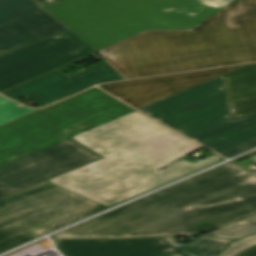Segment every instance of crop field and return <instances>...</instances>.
Instances as JSON below:
<instances>
[{"instance_id": "obj_1", "label": "crop field", "mask_w": 256, "mask_h": 256, "mask_svg": "<svg viewBox=\"0 0 256 256\" xmlns=\"http://www.w3.org/2000/svg\"><path fill=\"white\" fill-rule=\"evenodd\" d=\"M72 139L104 158L47 181L106 206L223 159L214 155L193 163L183 158L161 173L157 169L201 146L136 111Z\"/></svg>"}, {"instance_id": "obj_2", "label": "crop field", "mask_w": 256, "mask_h": 256, "mask_svg": "<svg viewBox=\"0 0 256 256\" xmlns=\"http://www.w3.org/2000/svg\"><path fill=\"white\" fill-rule=\"evenodd\" d=\"M254 215L256 176L227 163L51 238L193 235Z\"/></svg>"}, {"instance_id": "obj_3", "label": "crop field", "mask_w": 256, "mask_h": 256, "mask_svg": "<svg viewBox=\"0 0 256 256\" xmlns=\"http://www.w3.org/2000/svg\"><path fill=\"white\" fill-rule=\"evenodd\" d=\"M97 53L127 79L256 62V0L232 3L189 31H145Z\"/></svg>"}, {"instance_id": "obj_4", "label": "crop field", "mask_w": 256, "mask_h": 256, "mask_svg": "<svg viewBox=\"0 0 256 256\" xmlns=\"http://www.w3.org/2000/svg\"><path fill=\"white\" fill-rule=\"evenodd\" d=\"M45 10L97 51L145 29H189L218 9L200 0H65Z\"/></svg>"}, {"instance_id": "obj_5", "label": "crop field", "mask_w": 256, "mask_h": 256, "mask_svg": "<svg viewBox=\"0 0 256 256\" xmlns=\"http://www.w3.org/2000/svg\"><path fill=\"white\" fill-rule=\"evenodd\" d=\"M140 111L224 157L256 144V114L230 119L222 76Z\"/></svg>"}, {"instance_id": "obj_6", "label": "crop field", "mask_w": 256, "mask_h": 256, "mask_svg": "<svg viewBox=\"0 0 256 256\" xmlns=\"http://www.w3.org/2000/svg\"><path fill=\"white\" fill-rule=\"evenodd\" d=\"M97 88L0 126V165L131 112Z\"/></svg>"}, {"instance_id": "obj_7", "label": "crop field", "mask_w": 256, "mask_h": 256, "mask_svg": "<svg viewBox=\"0 0 256 256\" xmlns=\"http://www.w3.org/2000/svg\"><path fill=\"white\" fill-rule=\"evenodd\" d=\"M107 208L44 181L0 199V252Z\"/></svg>"}, {"instance_id": "obj_8", "label": "crop field", "mask_w": 256, "mask_h": 256, "mask_svg": "<svg viewBox=\"0 0 256 256\" xmlns=\"http://www.w3.org/2000/svg\"><path fill=\"white\" fill-rule=\"evenodd\" d=\"M59 34L1 55L0 93L94 52L69 30Z\"/></svg>"}, {"instance_id": "obj_9", "label": "crop field", "mask_w": 256, "mask_h": 256, "mask_svg": "<svg viewBox=\"0 0 256 256\" xmlns=\"http://www.w3.org/2000/svg\"><path fill=\"white\" fill-rule=\"evenodd\" d=\"M101 158L67 138L0 166V198Z\"/></svg>"}, {"instance_id": "obj_10", "label": "crop field", "mask_w": 256, "mask_h": 256, "mask_svg": "<svg viewBox=\"0 0 256 256\" xmlns=\"http://www.w3.org/2000/svg\"><path fill=\"white\" fill-rule=\"evenodd\" d=\"M120 80L125 79L105 62L70 78L55 69L1 94L12 99L26 95L35 100L37 107H42L94 84Z\"/></svg>"}, {"instance_id": "obj_11", "label": "crop field", "mask_w": 256, "mask_h": 256, "mask_svg": "<svg viewBox=\"0 0 256 256\" xmlns=\"http://www.w3.org/2000/svg\"><path fill=\"white\" fill-rule=\"evenodd\" d=\"M238 67L240 66L124 81L99 87L139 109Z\"/></svg>"}, {"instance_id": "obj_12", "label": "crop field", "mask_w": 256, "mask_h": 256, "mask_svg": "<svg viewBox=\"0 0 256 256\" xmlns=\"http://www.w3.org/2000/svg\"><path fill=\"white\" fill-rule=\"evenodd\" d=\"M64 256H166L177 252L162 238L118 240H59Z\"/></svg>"}, {"instance_id": "obj_13", "label": "crop field", "mask_w": 256, "mask_h": 256, "mask_svg": "<svg viewBox=\"0 0 256 256\" xmlns=\"http://www.w3.org/2000/svg\"><path fill=\"white\" fill-rule=\"evenodd\" d=\"M67 30L44 9L0 25V55Z\"/></svg>"}, {"instance_id": "obj_14", "label": "crop field", "mask_w": 256, "mask_h": 256, "mask_svg": "<svg viewBox=\"0 0 256 256\" xmlns=\"http://www.w3.org/2000/svg\"><path fill=\"white\" fill-rule=\"evenodd\" d=\"M231 118L256 113V65L223 76Z\"/></svg>"}, {"instance_id": "obj_15", "label": "crop field", "mask_w": 256, "mask_h": 256, "mask_svg": "<svg viewBox=\"0 0 256 256\" xmlns=\"http://www.w3.org/2000/svg\"><path fill=\"white\" fill-rule=\"evenodd\" d=\"M163 239L178 251L189 256H214L226 244L232 241L228 239H217L215 237H198L194 243L182 249L176 245L177 240L175 237H168Z\"/></svg>"}, {"instance_id": "obj_16", "label": "crop field", "mask_w": 256, "mask_h": 256, "mask_svg": "<svg viewBox=\"0 0 256 256\" xmlns=\"http://www.w3.org/2000/svg\"><path fill=\"white\" fill-rule=\"evenodd\" d=\"M39 9L33 0H0V24Z\"/></svg>"}, {"instance_id": "obj_17", "label": "crop field", "mask_w": 256, "mask_h": 256, "mask_svg": "<svg viewBox=\"0 0 256 256\" xmlns=\"http://www.w3.org/2000/svg\"><path fill=\"white\" fill-rule=\"evenodd\" d=\"M254 231H256V217L204 235H215L217 237L237 239Z\"/></svg>"}, {"instance_id": "obj_18", "label": "crop field", "mask_w": 256, "mask_h": 256, "mask_svg": "<svg viewBox=\"0 0 256 256\" xmlns=\"http://www.w3.org/2000/svg\"><path fill=\"white\" fill-rule=\"evenodd\" d=\"M17 103L7 100L0 96V124L28 114L36 109L19 108L15 106Z\"/></svg>"}, {"instance_id": "obj_19", "label": "crop field", "mask_w": 256, "mask_h": 256, "mask_svg": "<svg viewBox=\"0 0 256 256\" xmlns=\"http://www.w3.org/2000/svg\"><path fill=\"white\" fill-rule=\"evenodd\" d=\"M256 244V234L236 240L228 245L218 256H235L243 249Z\"/></svg>"}, {"instance_id": "obj_20", "label": "crop field", "mask_w": 256, "mask_h": 256, "mask_svg": "<svg viewBox=\"0 0 256 256\" xmlns=\"http://www.w3.org/2000/svg\"><path fill=\"white\" fill-rule=\"evenodd\" d=\"M202 1L220 9L221 7H223L224 5H226L232 0H202Z\"/></svg>"}, {"instance_id": "obj_21", "label": "crop field", "mask_w": 256, "mask_h": 256, "mask_svg": "<svg viewBox=\"0 0 256 256\" xmlns=\"http://www.w3.org/2000/svg\"><path fill=\"white\" fill-rule=\"evenodd\" d=\"M38 4H40L43 8L58 3L62 0H35Z\"/></svg>"}, {"instance_id": "obj_22", "label": "crop field", "mask_w": 256, "mask_h": 256, "mask_svg": "<svg viewBox=\"0 0 256 256\" xmlns=\"http://www.w3.org/2000/svg\"><path fill=\"white\" fill-rule=\"evenodd\" d=\"M239 256H256V246L241 253Z\"/></svg>"}, {"instance_id": "obj_23", "label": "crop field", "mask_w": 256, "mask_h": 256, "mask_svg": "<svg viewBox=\"0 0 256 256\" xmlns=\"http://www.w3.org/2000/svg\"><path fill=\"white\" fill-rule=\"evenodd\" d=\"M169 256H186V255H184V254H182V253L177 252V253H174V254L169 255Z\"/></svg>"}]
</instances>
